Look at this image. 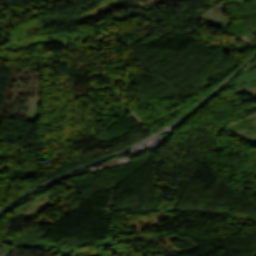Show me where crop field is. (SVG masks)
<instances>
[{
    "label": "crop field",
    "mask_w": 256,
    "mask_h": 256,
    "mask_svg": "<svg viewBox=\"0 0 256 256\" xmlns=\"http://www.w3.org/2000/svg\"><path fill=\"white\" fill-rule=\"evenodd\" d=\"M249 140H251V141H255V142H256V137L251 138V139H249Z\"/></svg>",
    "instance_id": "obj_4"
},
{
    "label": "crop field",
    "mask_w": 256,
    "mask_h": 256,
    "mask_svg": "<svg viewBox=\"0 0 256 256\" xmlns=\"http://www.w3.org/2000/svg\"><path fill=\"white\" fill-rule=\"evenodd\" d=\"M255 78H256V70L242 75L239 80L241 82V81L251 80V79H255Z\"/></svg>",
    "instance_id": "obj_2"
},
{
    "label": "crop field",
    "mask_w": 256,
    "mask_h": 256,
    "mask_svg": "<svg viewBox=\"0 0 256 256\" xmlns=\"http://www.w3.org/2000/svg\"><path fill=\"white\" fill-rule=\"evenodd\" d=\"M242 84H243V88L244 87L256 86V79L255 80H251V81L242 82Z\"/></svg>",
    "instance_id": "obj_3"
},
{
    "label": "crop field",
    "mask_w": 256,
    "mask_h": 256,
    "mask_svg": "<svg viewBox=\"0 0 256 256\" xmlns=\"http://www.w3.org/2000/svg\"><path fill=\"white\" fill-rule=\"evenodd\" d=\"M236 136H243L246 139L256 136V116L244 120L238 124L226 128Z\"/></svg>",
    "instance_id": "obj_1"
}]
</instances>
